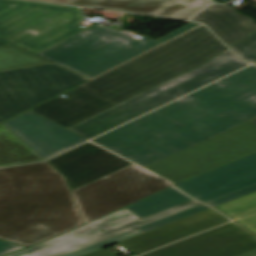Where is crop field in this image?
<instances>
[{"mask_svg": "<svg viewBox=\"0 0 256 256\" xmlns=\"http://www.w3.org/2000/svg\"><path fill=\"white\" fill-rule=\"evenodd\" d=\"M254 117L251 65L91 141L146 167Z\"/></svg>", "mask_w": 256, "mask_h": 256, "instance_id": "1", "label": "crop field"}, {"mask_svg": "<svg viewBox=\"0 0 256 256\" xmlns=\"http://www.w3.org/2000/svg\"><path fill=\"white\" fill-rule=\"evenodd\" d=\"M227 49L203 25L31 111L68 128Z\"/></svg>", "mask_w": 256, "mask_h": 256, "instance_id": "2", "label": "crop field"}, {"mask_svg": "<svg viewBox=\"0 0 256 256\" xmlns=\"http://www.w3.org/2000/svg\"><path fill=\"white\" fill-rule=\"evenodd\" d=\"M81 224L63 175L50 164L0 170V239L30 247Z\"/></svg>", "mask_w": 256, "mask_h": 256, "instance_id": "3", "label": "crop field"}, {"mask_svg": "<svg viewBox=\"0 0 256 256\" xmlns=\"http://www.w3.org/2000/svg\"><path fill=\"white\" fill-rule=\"evenodd\" d=\"M246 65L227 49L202 66L68 129L90 139Z\"/></svg>", "mask_w": 256, "mask_h": 256, "instance_id": "4", "label": "crop field"}, {"mask_svg": "<svg viewBox=\"0 0 256 256\" xmlns=\"http://www.w3.org/2000/svg\"><path fill=\"white\" fill-rule=\"evenodd\" d=\"M197 25L190 23L156 42H140L94 25L37 55L92 78Z\"/></svg>", "mask_w": 256, "mask_h": 256, "instance_id": "5", "label": "crop field"}, {"mask_svg": "<svg viewBox=\"0 0 256 256\" xmlns=\"http://www.w3.org/2000/svg\"><path fill=\"white\" fill-rule=\"evenodd\" d=\"M77 8L0 0V47L19 45L38 53L82 30Z\"/></svg>", "mask_w": 256, "mask_h": 256, "instance_id": "6", "label": "crop field"}, {"mask_svg": "<svg viewBox=\"0 0 256 256\" xmlns=\"http://www.w3.org/2000/svg\"><path fill=\"white\" fill-rule=\"evenodd\" d=\"M256 151V126L249 121L155 163L147 169L178 183Z\"/></svg>", "mask_w": 256, "mask_h": 256, "instance_id": "7", "label": "crop field"}, {"mask_svg": "<svg viewBox=\"0 0 256 256\" xmlns=\"http://www.w3.org/2000/svg\"><path fill=\"white\" fill-rule=\"evenodd\" d=\"M168 186L169 182L131 164L71 193L86 223Z\"/></svg>", "mask_w": 256, "mask_h": 256, "instance_id": "8", "label": "crop field"}, {"mask_svg": "<svg viewBox=\"0 0 256 256\" xmlns=\"http://www.w3.org/2000/svg\"><path fill=\"white\" fill-rule=\"evenodd\" d=\"M55 64L0 73V122H4L82 82Z\"/></svg>", "mask_w": 256, "mask_h": 256, "instance_id": "9", "label": "crop field"}, {"mask_svg": "<svg viewBox=\"0 0 256 256\" xmlns=\"http://www.w3.org/2000/svg\"><path fill=\"white\" fill-rule=\"evenodd\" d=\"M197 205H201V203L192 200L143 219L124 208L85 226L8 256H62ZM100 229L105 231L101 232Z\"/></svg>", "mask_w": 256, "mask_h": 256, "instance_id": "10", "label": "crop field"}, {"mask_svg": "<svg viewBox=\"0 0 256 256\" xmlns=\"http://www.w3.org/2000/svg\"><path fill=\"white\" fill-rule=\"evenodd\" d=\"M256 249V237L234 223L142 256H237Z\"/></svg>", "mask_w": 256, "mask_h": 256, "instance_id": "11", "label": "crop field"}, {"mask_svg": "<svg viewBox=\"0 0 256 256\" xmlns=\"http://www.w3.org/2000/svg\"><path fill=\"white\" fill-rule=\"evenodd\" d=\"M48 163L64 175L70 190L131 164L90 142Z\"/></svg>", "mask_w": 256, "mask_h": 256, "instance_id": "12", "label": "crop field"}, {"mask_svg": "<svg viewBox=\"0 0 256 256\" xmlns=\"http://www.w3.org/2000/svg\"><path fill=\"white\" fill-rule=\"evenodd\" d=\"M3 124L45 160L87 140L31 111Z\"/></svg>", "mask_w": 256, "mask_h": 256, "instance_id": "13", "label": "crop field"}, {"mask_svg": "<svg viewBox=\"0 0 256 256\" xmlns=\"http://www.w3.org/2000/svg\"><path fill=\"white\" fill-rule=\"evenodd\" d=\"M256 184V154L176 185L203 202Z\"/></svg>", "mask_w": 256, "mask_h": 256, "instance_id": "14", "label": "crop field"}, {"mask_svg": "<svg viewBox=\"0 0 256 256\" xmlns=\"http://www.w3.org/2000/svg\"><path fill=\"white\" fill-rule=\"evenodd\" d=\"M228 221L209 209L118 243L135 254H141Z\"/></svg>", "mask_w": 256, "mask_h": 256, "instance_id": "15", "label": "crop field"}, {"mask_svg": "<svg viewBox=\"0 0 256 256\" xmlns=\"http://www.w3.org/2000/svg\"><path fill=\"white\" fill-rule=\"evenodd\" d=\"M213 0H72L66 4L187 20Z\"/></svg>", "mask_w": 256, "mask_h": 256, "instance_id": "16", "label": "crop field"}, {"mask_svg": "<svg viewBox=\"0 0 256 256\" xmlns=\"http://www.w3.org/2000/svg\"><path fill=\"white\" fill-rule=\"evenodd\" d=\"M191 20L204 22L229 47L256 31L253 19L229 5L213 3Z\"/></svg>", "mask_w": 256, "mask_h": 256, "instance_id": "17", "label": "crop field"}, {"mask_svg": "<svg viewBox=\"0 0 256 256\" xmlns=\"http://www.w3.org/2000/svg\"><path fill=\"white\" fill-rule=\"evenodd\" d=\"M43 160L3 124H0V168Z\"/></svg>", "mask_w": 256, "mask_h": 256, "instance_id": "18", "label": "crop field"}, {"mask_svg": "<svg viewBox=\"0 0 256 256\" xmlns=\"http://www.w3.org/2000/svg\"><path fill=\"white\" fill-rule=\"evenodd\" d=\"M189 200L192 199L184 196L173 187H171L159 194L141 200L126 208L137 214L139 217L143 218L178 204L187 202Z\"/></svg>", "mask_w": 256, "mask_h": 256, "instance_id": "19", "label": "crop field"}, {"mask_svg": "<svg viewBox=\"0 0 256 256\" xmlns=\"http://www.w3.org/2000/svg\"><path fill=\"white\" fill-rule=\"evenodd\" d=\"M215 208L256 234V193Z\"/></svg>", "mask_w": 256, "mask_h": 256, "instance_id": "20", "label": "crop field"}, {"mask_svg": "<svg viewBox=\"0 0 256 256\" xmlns=\"http://www.w3.org/2000/svg\"><path fill=\"white\" fill-rule=\"evenodd\" d=\"M50 62L18 46L0 48V70Z\"/></svg>", "mask_w": 256, "mask_h": 256, "instance_id": "21", "label": "crop field"}, {"mask_svg": "<svg viewBox=\"0 0 256 256\" xmlns=\"http://www.w3.org/2000/svg\"><path fill=\"white\" fill-rule=\"evenodd\" d=\"M242 59L256 61V32L230 47Z\"/></svg>", "mask_w": 256, "mask_h": 256, "instance_id": "22", "label": "crop field"}, {"mask_svg": "<svg viewBox=\"0 0 256 256\" xmlns=\"http://www.w3.org/2000/svg\"><path fill=\"white\" fill-rule=\"evenodd\" d=\"M137 234H141V232H139L138 230L134 229L132 231L126 232L124 234L118 235L116 237H113V238H110L108 240L102 241L100 243L94 244L92 246L86 247L84 249L75 251V252L67 254L65 256H82V255H85V254L93 252L95 250L104 248V247H106L108 245H111V244H113L115 242L121 241L123 239L129 238V237L137 235Z\"/></svg>", "mask_w": 256, "mask_h": 256, "instance_id": "23", "label": "crop field"}, {"mask_svg": "<svg viewBox=\"0 0 256 256\" xmlns=\"http://www.w3.org/2000/svg\"><path fill=\"white\" fill-rule=\"evenodd\" d=\"M205 209H209V207H207L205 205L197 206V207H194L192 209H189V210H186L184 212H181L179 214H176L174 216H171V217H168L166 219L160 220L158 222H155V223L146 225L144 227L138 228V230H140L141 232L144 233V232L149 231L151 229H154V228H157L159 226L168 224L170 222L176 221L178 219L184 218L186 216L192 215L194 213L200 212V211L205 210Z\"/></svg>", "mask_w": 256, "mask_h": 256, "instance_id": "24", "label": "crop field"}, {"mask_svg": "<svg viewBox=\"0 0 256 256\" xmlns=\"http://www.w3.org/2000/svg\"><path fill=\"white\" fill-rule=\"evenodd\" d=\"M253 192H256V185L245 188V189H242V190H239L237 192H234V193H231V194H228V195H225V196H222L220 198L211 200V201L206 202V203L215 207V206H218L220 204L226 203L228 201L237 199L239 197L245 196V195L253 193Z\"/></svg>", "mask_w": 256, "mask_h": 256, "instance_id": "25", "label": "crop field"}, {"mask_svg": "<svg viewBox=\"0 0 256 256\" xmlns=\"http://www.w3.org/2000/svg\"><path fill=\"white\" fill-rule=\"evenodd\" d=\"M23 248H25V247L10 243L7 241L0 240V256L10 253V252H14V251L23 249Z\"/></svg>", "mask_w": 256, "mask_h": 256, "instance_id": "26", "label": "crop field"}, {"mask_svg": "<svg viewBox=\"0 0 256 256\" xmlns=\"http://www.w3.org/2000/svg\"><path fill=\"white\" fill-rule=\"evenodd\" d=\"M85 256H115V255L109 253L108 251H106L104 249H101V250L95 251L93 253L87 254Z\"/></svg>", "mask_w": 256, "mask_h": 256, "instance_id": "27", "label": "crop field"}, {"mask_svg": "<svg viewBox=\"0 0 256 256\" xmlns=\"http://www.w3.org/2000/svg\"><path fill=\"white\" fill-rule=\"evenodd\" d=\"M240 256H256V250L248 252V253L240 255Z\"/></svg>", "mask_w": 256, "mask_h": 256, "instance_id": "28", "label": "crop field"}, {"mask_svg": "<svg viewBox=\"0 0 256 256\" xmlns=\"http://www.w3.org/2000/svg\"><path fill=\"white\" fill-rule=\"evenodd\" d=\"M42 1H51V2H59V3H66L70 0H42Z\"/></svg>", "mask_w": 256, "mask_h": 256, "instance_id": "29", "label": "crop field"}, {"mask_svg": "<svg viewBox=\"0 0 256 256\" xmlns=\"http://www.w3.org/2000/svg\"><path fill=\"white\" fill-rule=\"evenodd\" d=\"M253 124H255L256 125V119L255 120H253V121H251Z\"/></svg>", "mask_w": 256, "mask_h": 256, "instance_id": "30", "label": "crop field"}]
</instances>
